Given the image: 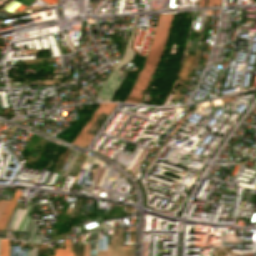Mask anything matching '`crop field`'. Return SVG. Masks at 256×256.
<instances>
[{
  "label": "crop field",
  "mask_w": 256,
  "mask_h": 256,
  "mask_svg": "<svg viewBox=\"0 0 256 256\" xmlns=\"http://www.w3.org/2000/svg\"><path fill=\"white\" fill-rule=\"evenodd\" d=\"M20 194H21L20 192L15 191L14 195L10 199L9 203H8V200H0V217H1V215H2L6 205L8 203V205H7V207H6L5 211H4L5 214H3L1 219H0V229H4L6 221L9 218V216H10V214H11V212H12V210H13L16 202H17V199L20 196Z\"/></svg>",
  "instance_id": "obj_4"
},
{
  "label": "crop field",
  "mask_w": 256,
  "mask_h": 256,
  "mask_svg": "<svg viewBox=\"0 0 256 256\" xmlns=\"http://www.w3.org/2000/svg\"><path fill=\"white\" fill-rule=\"evenodd\" d=\"M173 15H163L159 14V18L156 23L154 37L152 43L149 47L147 55L145 57L146 61L142 71L139 72L137 76V81L135 82L129 97L125 102L138 103L141 95H138L139 88L146 89L148 82L153 74V71L159 61L160 55L163 51V47L169 33L170 22Z\"/></svg>",
  "instance_id": "obj_1"
},
{
  "label": "crop field",
  "mask_w": 256,
  "mask_h": 256,
  "mask_svg": "<svg viewBox=\"0 0 256 256\" xmlns=\"http://www.w3.org/2000/svg\"><path fill=\"white\" fill-rule=\"evenodd\" d=\"M202 2H203V0H200L199 7H202ZM219 3H220V0H208L207 6L219 5Z\"/></svg>",
  "instance_id": "obj_7"
},
{
  "label": "crop field",
  "mask_w": 256,
  "mask_h": 256,
  "mask_svg": "<svg viewBox=\"0 0 256 256\" xmlns=\"http://www.w3.org/2000/svg\"><path fill=\"white\" fill-rule=\"evenodd\" d=\"M10 245L7 240L1 239L0 256H9Z\"/></svg>",
  "instance_id": "obj_6"
},
{
  "label": "crop field",
  "mask_w": 256,
  "mask_h": 256,
  "mask_svg": "<svg viewBox=\"0 0 256 256\" xmlns=\"http://www.w3.org/2000/svg\"><path fill=\"white\" fill-rule=\"evenodd\" d=\"M71 240H65V249H55L54 256H73L70 252ZM90 253V237L84 238V256H89Z\"/></svg>",
  "instance_id": "obj_5"
},
{
  "label": "crop field",
  "mask_w": 256,
  "mask_h": 256,
  "mask_svg": "<svg viewBox=\"0 0 256 256\" xmlns=\"http://www.w3.org/2000/svg\"><path fill=\"white\" fill-rule=\"evenodd\" d=\"M115 105L116 103L100 104L95 113L92 115L91 119L87 121L79 135L75 138V140L72 143L80 145L82 147L87 146V144L90 142L92 138L91 135L85 134L87 130L90 128V126L93 124V122L96 120V118L99 116L101 112L110 114Z\"/></svg>",
  "instance_id": "obj_3"
},
{
  "label": "crop field",
  "mask_w": 256,
  "mask_h": 256,
  "mask_svg": "<svg viewBox=\"0 0 256 256\" xmlns=\"http://www.w3.org/2000/svg\"><path fill=\"white\" fill-rule=\"evenodd\" d=\"M138 16H135L134 18V23H133V27L131 30V35L129 38V42L126 46V50L124 53V57L122 59H119L120 61L116 62L112 71H111V76L114 77H120L122 72L119 71L121 65L125 64L126 62H128L130 59H132L134 52L133 50L129 47L131 40L133 38V34H134V30H135V24H136V20H137ZM114 77H108V79L106 80L105 84H103L101 91L99 92V94L97 95L98 97H100L103 101H108L109 98L111 97V95L113 94V92L115 91L116 87L118 86V84L120 83L121 79H117Z\"/></svg>",
  "instance_id": "obj_2"
}]
</instances>
